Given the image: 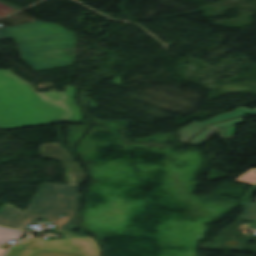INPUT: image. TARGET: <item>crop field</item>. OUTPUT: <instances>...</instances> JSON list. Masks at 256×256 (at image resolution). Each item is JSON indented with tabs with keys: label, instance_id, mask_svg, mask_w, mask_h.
<instances>
[{
	"label": "crop field",
	"instance_id": "crop-field-17",
	"mask_svg": "<svg viewBox=\"0 0 256 256\" xmlns=\"http://www.w3.org/2000/svg\"><path fill=\"white\" fill-rule=\"evenodd\" d=\"M256 186V185H255Z\"/></svg>",
	"mask_w": 256,
	"mask_h": 256
},
{
	"label": "crop field",
	"instance_id": "crop-field-4",
	"mask_svg": "<svg viewBox=\"0 0 256 256\" xmlns=\"http://www.w3.org/2000/svg\"><path fill=\"white\" fill-rule=\"evenodd\" d=\"M6 256H101V250L93 238L76 235L64 242L24 241Z\"/></svg>",
	"mask_w": 256,
	"mask_h": 256
},
{
	"label": "crop field",
	"instance_id": "crop-field-3",
	"mask_svg": "<svg viewBox=\"0 0 256 256\" xmlns=\"http://www.w3.org/2000/svg\"><path fill=\"white\" fill-rule=\"evenodd\" d=\"M81 186L43 183L26 213L4 204L0 208V226L27 230L35 217L58 222L56 230L76 229L72 221L76 217L80 202L78 192ZM61 216H65L61 218Z\"/></svg>",
	"mask_w": 256,
	"mask_h": 256
},
{
	"label": "crop field",
	"instance_id": "crop-field-12",
	"mask_svg": "<svg viewBox=\"0 0 256 256\" xmlns=\"http://www.w3.org/2000/svg\"><path fill=\"white\" fill-rule=\"evenodd\" d=\"M59 233H61L63 235V240H55V241H64L74 235H76V233L72 232V231H58ZM28 240H44L42 238H34V239H28ZM46 241V240H44Z\"/></svg>",
	"mask_w": 256,
	"mask_h": 256
},
{
	"label": "crop field",
	"instance_id": "crop-field-13",
	"mask_svg": "<svg viewBox=\"0 0 256 256\" xmlns=\"http://www.w3.org/2000/svg\"><path fill=\"white\" fill-rule=\"evenodd\" d=\"M249 240H252V241L256 242V235H255V234L251 235V236H250L249 238H247V239L244 241V243H243L244 246H246V247H248V248H250V249L256 251V245H255V246H250V245H248Z\"/></svg>",
	"mask_w": 256,
	"mask_h": 256
},
{
	"label": "crop field",
	"instance_id": "crop-field-2",
	"mask_svg": "<svg viewBox=\"0 0 256 256\" xmlns=\"http://www.w3.org/2000/svg\"><path fill=\"white\" fill-rule=\"evenodd\" d=\"M14 37L22 59L36 71L72 65L73 33L57 24L36 22L0 29V39Z\"/></svg>",
	"mask_w": 256,
	"mask_h": 256
},
{
	"label": "crop field",
	"instance_id": "crop-field-6",
	"mask_svg": "<svg viewBox=\"0 0 256 256\" xmlns=\"http://www.w3.org/2000/svg\"><path fill=\"white\" fill-rule=\"evenodd\" d=\"M247 114H256V109L250 110V109H247L244 107H240V108H236L235 110H233L227 114L219 115V116H217L211 120H208V121H204L201 123L194 121V122L182 127L178 131L179 140H180V142L184 143L185 141H187L189 138L194 136L196 133H198L200 130H202L204 127H206L210 123L222 121V120L233 118V117L243 116V115H247Z\"/></svg>",
	"mask_w": 256,
	"mask_h": 256
},
{
	"label": "crop field",
	"instance_id": "crop-field-14",
	"mask_svg": "<svg viewBox=\"0 0 256 256\" xmlns=\"http://www.w3.org/2000/svg\"><path fill=\"white\" fill-rule=\"evenodd\" d=\"M225 243L230 244V245H232V246H235V245H237V244H238V241H237V240H235V239H233V240H230V241L225 242Z\"/></svg>",
	"mask_w": 256,
	"mask_h": 256
},
{
	"label": "crop field",
	"instance_id": "crop-field-7",
	"mask_svg": "<svg viewBox=\"0 0 256 256\" xmlns=\"http://www.w3.org/2000/svg\"><path fill=\"white\" fill-rule=\"evenodd\" d=\"M243 122H244V119L240 118V119H236V120L222 122V123L212 125L210 128H208L206 131L201 133L199 136H197L195 139H193L189 143L200 145V144L210 140L213 133L215 132V130L217 128L220 129V131L222 132L225 139L232 138L233 134H234V131L236 129V127L234 125L240 124V123H243Z\"/></svg>",
	"mask_w": 256,
	"mask_h": 256
},
{
	"label": "crop field",
	"instance_id": "crop-field-8",
	"mask_svg": "<svg viewBox=\"0 0 256 256\" xmlns=\"http://www.w3.org/2000/svg\"><path fill=\"white\" fill-rule=\"evenodd\" d=\"M255 191L256 187H253L244 197H242L241 203L244 206V209L239 217L256 221V202L252 203L250 199V196Z\"/></svg>",
	"mask_w": 256,
	"mask_h": 256
},
{
	"label": "crop field",
	"instance_id": "crop-field-9",
	"mask_svg": "<svg viewBox=\"0 0 256 256\" xmlns=\"http://www.w3.org/2000/svg\"><path fill=\"white\" fill-rule=\"evenodd\" d=\"M244 221H245V219H240V218L235 219L225 229H222L221 231H219L217 236H221V237H227L230 235H233L236 237L246 236V235H243V234L235 231Z\"/></svg>",
	"mask_w": 256,
	"mask_h": 256
},
{
	"label": "crop field",
	"instance_id": "crop-field-1",
	"mask_svg": "<svg viewBox=\"0 0 256 256\" xmlns=\"http://www.w3.org/2000/svg\"><path fill=\"white\" fill-rule=\"evenodd\" d=\"M76 89L67 85L65 92L37 94L10 70H0V127L80 121V108L74 103Z\"/></svg>",
	"mask_w": 256,
	"mask_h": 256
},
{
	"label": "crop field",
	"instance_id": "crop-field-16",
	"mask_svg": "<svg viewBox=\"0 0 256 256\" xmlns=\"http://www.w3.org/2000/svg\"><path fill=\"white\" fill-rule=\"evenodd\" d=\"M73 60L75 59L76 57V53H72V54H68Z\"/></svg>",
	"mask_w": 256,
	"mask_h": 256
},
{
	"label": "crop field",
	"instance_id": "crop-field-18",
	"mask_svg": "<svg viewBox=\"0 0 256 256\" xmlns=\"http://www.w3.org/2000/svg\"><path fill=\"white\" fill-rule=\"evenodd\" d=\"M1 153V152H0Z\"/></svg>",
	"mask_w": 256,
	"mask_h": 256
},
{
	"label": "crop field",
	"instance_id": "crop-field-5",
	"mask_svg": "<svg viewBox=\"0 0 256 256\" xmlns=\"http://www.w3.org/2000/svg\"><path fill=\"white\" fill-rule=\"evenodd\" d=\"M41 158H47L60 162L65 167L66 182L80 185L85 181L84 172L75 163L66 150L59 148L57 143L40 146Z\"/></svg>",
	"mask_w": 256,
	"mask_h": 256
},
{
	"label": "crop field",
	"instance_id": "crop-field-10",
	"mask_svg": "<svg viewBox=\"0 0 256 256\" xmlns=\"http://www.w3.org/2000/svg\"><path fill=\"white\" fill-rule=\"evenodd\" d=\"M22 235L21 232L0 229V244H4L11 239L19 240Z\"/></svg>",
	"mask_w": 256,
	"mask_h": 256
},
{
	"label": "crop field",
	"instance_id": "crop-field-15",
	"mask_svg": "<svg viewBox=\"0 0 256 256\" xmlns=\"http://www.w3.org/2000/svg\"><path fill=\"white\" fill-rule=\"evenodd\" d=\"M6 249H7V248L1 247V245H0V256L3 254V252H4Z\"/></svg>",
	"mask_w": 256,
	"mask_h": 256
},
{
	"label": "crop field",
	"instance_id": "crop-field-11",
	"mask_svg": "<svg viewBox=\"0 0 256 256\" xmlns=\"http://www.w3.org/2000/svg\"><path fill=\"white\" fill-rule=\"evenodd\" d=\"M20 8L10 5L2 0H0V17L12 13Z\"/></svg>",
	"mask_w": 256,
	"mask_h": 256
}]
</instances>
